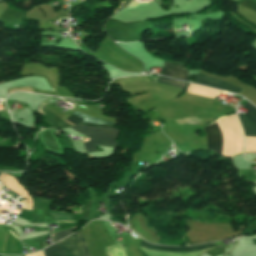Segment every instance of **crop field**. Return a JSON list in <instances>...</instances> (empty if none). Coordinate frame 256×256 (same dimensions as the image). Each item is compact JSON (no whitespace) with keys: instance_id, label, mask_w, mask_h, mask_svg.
<instances>
[{"instance_id":"8a807250","label":"crop field","mask_w":256,"mask_h":256,"mask_svg":"<svg viewBox=\"0 0 256 256\" xmlns=\"http://www.w3.org/2000/svg\"><path fill=\"white\" fill-rule=\"evenodd\" d=\"M71 128L89 138V141L85 142V147L89 153L98 151L95 144L114 148L117 145L115 137L119 129L99 128L86 125H79Z\"/></svg>"},{"instance_id":"ac0d7876","label":"crop field","mask_w":256,"mask_h":256,"mask_svg":"<svg viewBox=\"0 0 256 256\" xmlns=\"http://www.w3.org/2000/svg\"><path fill=\"white\" fill-rule=\"evenodd\" d=\"M67 256H90L86 242L81 231L61 240ZM59 241L55 245L43 250L45 256H66Z\"/></svg>"},{"instance_id":"34b2d1b8","label":"crop field","mask_w":256,"mask_h":256,"mask_svg":"<svg viewBox=\"0 0 256 256\" xmlns=\"http://www.w3.org/2000/svg\"><path fill=\"white\" fill-rule=\"evenodd\" d=\"M141 247L151 249V250L164 251V252L191 253V252H198V251H206L214 247V244L210 243V244L191 247V248H174V247H163L158 245H151L142 241ZM151 250L142 249V251H144L147 256H199V254L202 253V252H198V253H191V254H173V253L156 252Z\"/></svg>"},{"instance_id":"412701ff","label":"crop field","mask_w":256,"mask_h":256,"mask_svg":"<svg viewBox=\"0 0 256 256\" xmlns=\"http://www.w3.org/2000/svg\"><path fill=\"white\" fill-rule=\"evenodd\" d=\"M204 132L207 135V149L213 150L219 154L222 152V133L218 128L216 122L210 126L203 128Z\"/></svg>"},{"instance_id":"f4fd0767","label":"crop field","mask_w":256,"mask_h":256,"mask_svg":"<svg viewBox=\"0 0 256 256\" xmlns=\"http://www.w3.org/2000/svg\"><path fill=\"white\" fill-rule=\"evenodd\" d=\"M243 108L248 110L244 115L239 114L245 136L256 137V109L249 103Z\"/></svg>"},{"instance_id":"dd49c442","label":"crop field","mask_w":256,"mask_h":256,"mask_svg":"<svg viewBox=\"0 0 256 256\" xmlns=\"http://www.w3.org/2000/svg\"><path fill=\"white\" fill-rule=\"evenodd\" d=\"M194 83L206 85L209 87H213V88H217V89H221V90H225V91L235 92V93H238L241 91V89H239L233 85L227 84L223 81H219V80L210 78V77L205 76L200 73H197L196 81H194Z\"/></svg>"},{"instance_id":"e52e79f7","label":"crop field","mask_w":256,"mask_h":256,"mask_svg":"<svg viewBox=\"0 0 256 256\" xmlns=\"http://www.w3.org/2000/svg\"><path fill=\"white\" fill-rule=\"evenodd\" d=\"M163 74L189 81L188 70L181 64L165 61L163 63Z\"/></svg>"},{"instance_id":"d8731c3e","label":"crop field","mask_w":256,"mask_h":256,"mask_svg":"<svg viewBox=\"0 0 256 256\" xmlns=\"http://www.w3.org/2000/svg\"><path fill=\"white\" fill-rule=\"evenodd\" d=\"M66 120L70 121L71 123L78 125L80 123H86V124H92V125H100V126H110V127H115V123H111V122H106V121H102L100 119H96V118H92V117H88L86 115L74 112L69 118H67ZM65 120V121H66ZM67 121V122H68ZM69 122V123H70Z\"/></svg>"},{"instance_id":"5a996713","label":"crop field","mask_w":256,"mask_h":256,"mask_svg":"<svg viewBox=\"0 0 256 256\" xmlns=\"http://www.w3.org/2000/svg\"><path fill=\"white\" fill-rule=\"evenodd\" d=\"M158 82H162V83L170 84V85H173V86L179 87V88H181V89H183V90H185V88L188 86V84H187V83H183V82L175 81V80L168 79V78L161 77V76L159 77Z\"/></svg>"},{"instance_id":"3316defc","label":"crop field","mask_w":256,"mask_h":256,"mask_svg":"<svg viewBox=\"0 0 256 256\" xmlns=\"http://www.w3.org/2000/svg\"><path fill=\"white\" fill-rule=\"evenodd\" d=\"M76 228H77V226L73 227V228H70V229H66V230L60 231V232L52 235L53 242H56V241L60 240L61 238L71 234L72 231L75 230Z\"/></svg>"},{"instance_id":"28ad6ade","label":"crop field","mask_w":256,"mask_h":256,"mask_svg":"<svg viewBox=\"0 0 256 256\" xmlns=\"http://www.w3.org/2000/svg\"><path fill=\"white\" fill-rule=\"evenodd\" d=\"M54 220H66V221H74L72 216L67 213H53L50 212ZM65 222V221H63Z\"/></svg>"},{"instance_id":"d1516ede","label":"crop field","mask_w":256,"mask_h":256,"mask_svg":"<svg viewBox=\"0 0 256 256\" xmlns=\"http://www.w3.org/2000/svg\"><path fill=\"white\" fill-rule=\"evenodd\" d=\"M240 4L256 11V2L244 0V1L240 2Z\"/></svg>"},{"instance_id":"22f410ed","label":"crop field","mask_w":256,"mask_h":256,"mask_svg":"<svg viewBox=\"0 0 256 256\" xmlns=\"http://www.w3.org/2000/svg\"><path fill=\"white\" fill-rule=\"evenodd\" d=\"M90 203H91V200H90V202H89V204H88V206H87L86 212H87V210H88V208H89V206H90ZM84 217H86V213H85Z\"/></svg>"},{"instance_id":"cbeb9de0","label":"crop field","mask_w":256,"mask_h":256,"mask_svg":"<svg viewBox=\"0 0 256 256\" xmlns=\"http://www.w3.org/2000/svg\"><path fill=\"white\" fill-rule=\"evenodd\" d=\"M2 175H3V173L0 174V178H1Z\"/></svg>"}]
</instances>
